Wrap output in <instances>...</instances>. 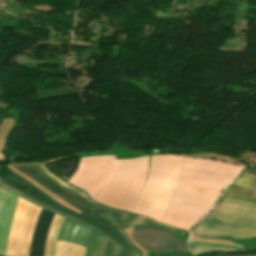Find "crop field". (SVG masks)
I'll list each match as a JSON object with an SVG mask.
<instances>
[{"label": "crop field", "instance_id": "7", "mask_svg": "<svg viewBox=\"0 0 256 256\" xmlns=\"http://www.w3.org/2000/svg\"><path fill=\"white\" fill-rule=\"evenodd\" d=\"M53 215L51 212L42 210L34 229L29 256H43L45 238Z\"/></svg>", "mask_w": 256, "mask_h": 256}, {"label": "crop field", "instance_id": "6", "mask_svg": "<svg viewBox=\"0 0 256 256\" xmlns=\"http://www.w3.org/2000/svg\"><path fill=\"white\" fill-rule=\"evenodd\" d=\"M124 250L125 248L122 245L93 230L87 246L86 256H118Z\"/></svg>", "mask_w": 256, "mask_h": 256}, {"label": "crop field", "instance_id": "15", "mask_svg": "<svg viewBox=\"0 0 256 256\" xmlns=\"http://www.w3.org/2000/svg\"><path fill=\"white\" fill-rule=\"evenodd\" d=\"M1 123H2V120L0 119V125H1Z\"/></svg>", "mask_w": 256, "mask_h": 256}, {"label": "crop field", "instance_id": "3", "mask_svg": "<svg viewBox=\"0 0 256 256\" xmlns=\"http://www.w3.org/2000/svg\"><path fill=\"white\" fill-rule=\"evenodd\" d=\"M193 234L203 237H256V208L220 202Z\"/></svg>", "mask_w": 256, "mask_h": 256}, {"label": "crop field", "instance_id": "14", "mask_svg": "<svg viewBox=\"0 0 256 256\" xmlns=\"http://www.w3.org/2000/svg\"><path fill=\"white\" fill-rule=\"evenodd\" d=\"M246 173L252 174L256 176V170L250 169Z\"/></svg>", "mask_w": 256, "mask_h": 256}, {"label": "crop field", "instance_id": "12", "mask_svg": "<svg viewBox=\"0 0 256 256\" xmlns=\"http://www.w3.org/2000/svg\"><path fill=\"white\" fill-rule=\"evenodd\" d=\"M0 186H3V187H5V188H7V189L16 191V190L12 189L11 187H9L8 185H6L1 179H0ZM16 192H18V191H16Z\"/></svg>", "mask_w": 256, "mask_h": 256}, {"label": "crop field", "instance_id": "11", "mask_svg": "<svg viewBox=\"0 0 256 256\" xmlns=\"http://www.w3.org/2000/svg\"><path fill=\"white\" fill-rule=\"evenodd\" d=\"M233 184L243 186L256 191V177L244 173Z\"/></svg>", "mask_w": 256, "mask_h": 256}, {"label": "crop field", "instance_id": "1", "mask_svg": "<svg viewBox=\"0 0 256 256\" xmlns=\"http://www.w3.org/2000/svg\"><path fill=\"white\" fill-rule=\"evenodd\" d=\"M115 160L84 157L68 182L109 207L190 230L215 203L227 183L246 167L180 156Z\"/></svg>", "mask_w": 256, "mask_h": 256}, {"label": "crop field", "instance_id": "2", "mask_svg": "<svg viewBox=\"0 0 256 256\" xmlns=\"http://www.w3.org/2000/svg\"><path fill=\"white\" fill-rule=\"evenodd\" d=\"M17 167L111 230L128 249L123 256H139L137 251L131 246L127 238L118 228L111 214L112 209L105 208L92 202L84 193L61 182L60 179H57L50 174L43 164H26ZM112 211L115 212L123 221L128 216L127 213L121 211Z\"/></svg>", "mask_w": 256, "mask_h": 256}, {"label": "crop field", "instance_id": "8", "mask_svg": "<svg viewBox=\"0 0 256 256\" xmlns=\"http://www.w3.org/2000/svg\"><path fill=\"white\" fill-rule=\"evenodd\" d=\"M18 196L6 191L0 216V253L4 254Z\"/></svg>", "mask_w": 256, "mask_h": 256}, {"label": "crop field", "instance_id": "10", "mask_svg": "<svg viewBox=\"0 0 256 256\" xmlns=\"http://www.w3.org/2000/svg\"><path fill=\"white\" fill-rule=\"evenodd\" d=\"M189 245H190V249L193 251L194 255H201L203 253H206V252H209L212 250H220V251L238 250V248H229V247L196 245V244H189Z\"/></svg>", "mask_w": 256, "mask_h": 256}, {"label": "crop field", "instance_id": "5", "mask_svg": "<svg viewBox=\"0 0 256 256\" xmlns=\"http://www.w3.org/2000/svg\"><path fill=\"white\" fill-rule=\"evenodd\" d=\"M133 240L148 251L188 252L186 241L174 239L173 234L169 231L135 228Z\"/></svg>", "mask_w": 256, "mask_h": 256}, {"label": "crop field", "instance_id": "13", "mask_svg": "<svg viewBox=\"0 0 256 256\" xmlns=\"http://www.w3.org/2000/svg\"><path fill=\"white\" fill-rule=\"evenodd\" d=\"M189 243H196V244H209V245H220V244L201 243V242H192V241H189ZM221 246H227V245H221ZM231 247H233V246H231Z\"/></svg>", "mask_w": 256, "mask_h": 256}, {"label": "crop field", "instance_id": "4", "mask_svg": "<svg viewBox=\"0 0 256 256\" xmlns=\"http://www.w3.org/2000/svg\"><path fill=\"white\" fill-rule=\"evenodd\" d=\"M91 231L64 219L57 237L54 256H84Z\"/></svg>", "mask_w": 256, "mask_h": 256}, {"label": "crop field", "instance_id": "9", "mask_svg": "<svg viewBox=\"0 0 256 256\" xmlns=\"http://www.w3.org/2000/svg\"><path fill=\"white\" fill-rule=\"evenodd\" d=\"M0 188H2V187H0ZM2 189H4V188H2ZM8 191H9V190H8ZM10 192H12V191H10ZM13 193H14V192H13ZM15 194H16V193H15ZM17 195L21 196L22 198H24V199H26V200H28V201H30V202H32V203H34V204L40 206V207H42V208H44V209H46V210H49V211H52V212L57 213V214H59V215H62V216H64V217H67V218H69V219H71V220H73V221H75V222H78V223H80V224H82V225H85V226H87V227H90V228H92V229H95V230H97V231H99V232L105 233V234H107L109 237L113 238L111 235H109V234L106 233L105 231H103V230H101V229H98V228H96V227H94V226H92V225H90V224H88V223H86V222H84V221H82V220H80V219H78V218L72 216V215H69V214H67V213L60 212V211H58V210H55V209H53V208H51V207H49V206H47V205H45V204H43V203L37 201V200H35V199L29 197L28 195H26V194H24V193L19 192ZM113 239H114V238H113ZM114 240H115V239H114ZM115 241H117V240H115Z\"/></svg>", "mask_w": 256, "mask_h": 256}]
</instances>
